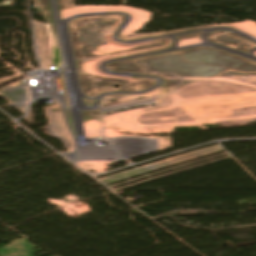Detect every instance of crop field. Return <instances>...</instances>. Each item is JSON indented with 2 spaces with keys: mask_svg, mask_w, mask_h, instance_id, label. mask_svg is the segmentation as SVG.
Here are the masks:
<instances>
[{
  "mask_svg": "<svg viewBox=\"0 0 256 256\" xmlns=\"http://www.w3.org/2000/svg\"><path fill=\"white\" fill-rule=\"evenodd\" d=\"M35 245L25 239L13 240L10 245L0 248V256H33Z\"/></svg>",
  "mask_w": 256,
  "mask_h": 256,
  "instance_id": "8a807250",
  "label": "crop field"
}]
</instances>
